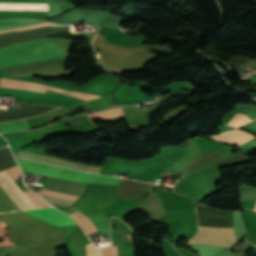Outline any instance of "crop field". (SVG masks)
Wrapping results in <instances>:
<instances>
[{"mask_svg": "<svg viewBox=\"0 0 256 256\" xmlns=\"http://www.w3.org/2000/svg\"><path fill=\"white\" fill-rule=\"evenodd\" d=\"M236 241L231 228H206L199 227L197 234L190 243L220 245L230 247Z\"/></svg>", "mask_w": 256, "mask_h": 256, "instance_id": "crop-field-3", "label": "crop field"}, {"mask_svg": "<svg viewBox=\"0 0 256 256\" xmlns=\"http://www.w3.org/2000/svg\"><path fill=\"white\" fill-rule=\"evenodd\" d=\"M24 212L50 222L56 226L75 224L74 221L67 215L59 212L58 210L51 208H41L34 210H25Z\"/></svg>", "mask_w": 256, "mask_h": 256, "instance_id": "crop-field-5", "label": "crop field"}, {"mask_svg": "<svg viewBox=\"0 0 256 256\" xmlns=\"http://www.w3.org/2000/svg\"><path fill=\"white\" fill-rule=\"evenodd\" d=\"M22 21H28V20H6V21H0V26H1V25H6V24H12V23H17V22H22ZM61 26H62V25H57V26H52V27H47V28H42V29H37V30H32V31H27V32H22V33H17V34L2 36V37H8V36H13V35H18V34H24V33L34 32V31H40V30H45V29H50V28H56V27H61ZM2 37H0V38H2Z\"/></svg>", "mask_w": 256, "mask_h": 256, "instance_id": "crop-field-12", "label": "crop field"}, {"mask_svg": "<svg viewBox=\"0 0 256 256\" xmlns=\"http://www.w3.org/2000/svg\"><path fill=\"white\" fill-rule=\"evenodd\" d=\"M37 194L51 204L67 206V207H69L78 198L77 196L45 190V189L37 192Z\"/></svg>", "mask_w": 256, "mask_h": 256, "instance_id": "crop-field-8", "label": "crop field"}, {"mask_svg": "<svg viewBox=\"0 0 256 256\" xmlns=\"http://www.w3.org/2000/svg\"><path fill=\"white\" fill-rule=\"evenodd\" d=\"M200 198H201V197H200ZM200 198H198V199H200ZM198 199H197V200H198Z\"/></svg>", "mask_w": 256, "mask_h": 256, "instance_id": "crop-field-15", "label": "crop field"}, {"mask_svg": "<svg viewBox=\"0 0 256 256\" xmlns=\"http://www.w3.org/2000/svg\"><path fill=\"white\" fill-rule=\"evenodd\" d=\"M69 215L76 220V222L82 227L86 234L97 232L96 227L83 213L75 209L71 213H69Z\"/></svg>", "mask_w": 256, "mask_h": 256, "instance_id": "crop-field-10", "label": "crop field"}, {"mask_svg": "<svg viewBox=\"0 0 256 256\" xmlns=\"http://www.w3.org/2000/svg\"><path fill=\"white\" fill-rule=\"evenodd\" d=\"M63 57L62 49L46 39L0 50V67H11Z\"/></svg>", "mask_w": 256, "mask_h": 256, "instance_id": "crop-field-1", "label": "crop field"}, {"mask_svg": "<svg viewBox=\"0 0 256 256\" xmlns=\"http://www.w3.org/2000/svg\"><path fill=\"white\" fill-rule=\"evenodd\" d=\"M99 33L106 37L108 40L122 44L126 39V35L122 34L119 28L98 26Z\"/></svg>", "mask_w": 256, "mask_h": 256, "instance_id": "crop-field-9", "label": "crop field"}, {"mask_svg": "<svg viewBox=\"0 0 256 256\" xmlns=\"http://www.w3.org/2000/svg\"><path fill=\"white\" fill-rule=\"evenodd\" d=\"M21 168L34 172L37 174H41L44 176H51L59 179L72 180L76 182H81L87 184L89 183H106V184H114L118 185L120 179L94 175L82 171L71 170L60 168L56 166H51L43 163H36L24 159H16Z\"/></svg>", "mask_w": 256, "mask_h": 256, "instance_id": "crop-field-2", "label": "crop field"}, {"mask_svg": "<svg viewBox=\"0 0 256 256\" xmlns=\"http://www.w3.org/2000/svg\"><path fill=\"white\" fill-rule=\"evenodd\" d=\"M254 210H256V205H255V207H254Z\"/></svg>", "mask_w": 256, "mask_h": 256, "instance_id": "crop-field-14", "label": "crop field"}, {"mask_svg": "<svg viewBox=\"0 0 256 256\" xmlns=\"http://www.w3.org/2000/svg\"><path fill=\"white\" fill-rule=\"evenodd\" d=\"M0 86L15 88V89H22V90H30V91H36V92H42V93H44L46 89H49V90L65 93L67 95L85 99V100L100 97V96H95V95H90V94H85V93H80L75 91H65V90L57 89L50 86H44V85H40L32 82L10 80V79H3V78H1L0 80Z\"/></svg>", "mask_w": 256, "mask_h": 256, "instance_id": "crop-field-4", "label": "crop field"}, {"mask_svg": "<svg viewBox=\"0 0 256 256\" xmlns=\"http://www.w3.org/2000/svg\"><path fill=\"white\" fill-rule=\"evenodd\" d=\"M81 186H82L81 183L59 180V179L48 177L43 188L77 195ZM85 188H86V185L84 184L79 193V196L83 193Z\"/></svg>", "mask_w": 256, "mask_h": 256, "instance_id": "crop-field-6", "label": "crop field"}, {"mask_svg": "<svg viewBox=\"0 0 256 256\" xmlns=\"http://www.w3.org/2000/svg\"><path fill=\"white\" fill-rule=\"evenodd\" d=\"M103 256H117L116 245L101 250Z\"/></svg>", "mask_w": 256, "mask_h": 256, "instance_id": "crop-field-13", "label": "crop field"}, {"mask_svg": "<svg viewBox=\"0 0 256 256\" xmlns=\"http://www.w3.org/2000/svg\"><path fill=\"white\" fill-rule=\"evenodd\" d=\"M15 155L27 157V158H31V159H35V160H40V161L47 162V163L57 164V165H61V166H66V167H71V168H76V169H81V170H87V171L94 172V173H97V171L100 169V168H96V167L84 166V165H80V164H76V163H72V162H68V161H64V160L53 159V158H49L47 156L32 154V153L23 152V151H20Z\"/></svg>", "mask_w": 256, "mask_h": 256, "instance_id": "crop-field-7", "label": "crop field"}, {"mask_svg": "<svg viewBox=\"0 0 256 256\" xmlns=\"http://www.w3.org/2000/svg\"><path fill=\"white\" fill-rule=\"evenodd\" d=\"M28 127L30 126L25 119L0 123V131L2 132H7V131L21 129V128H28Z\"/></svg>", "mask_w": 256, "mask_h": 256, "instance_id": "crop-field-11", "label": "crop field"}]
</instances>
